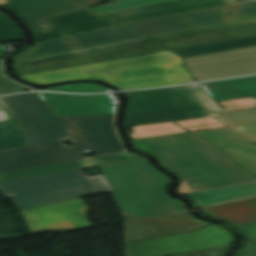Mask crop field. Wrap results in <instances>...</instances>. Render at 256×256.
I'll return each mask as SVG.
<instances>
[{"mask_svg":"<svg viewBox=\"0 0 256 256\" xmlns=\"http://www.w3.org/2000/svg\"><path fill=\"white\" fill-rule=\"evenodd\" d=\"M168 1H173V0H125V1L117 2L116 5H103V6L91 8L88 10L97 15H101V14L122 11V10H127V9H132V8L157 4V3L168 2Z\"/></svg>","mask_w":256,"mask_h":256,"instance_id":"30","label":"crop field"},{"mask_svg":"<svg viewBox=\"0 0 256 256\" xmlns=\"http://www.w3.org/2000/svg\"><path fill=\"white\" fill-rule=\"evenodd\" d=\"M0 72H3V71H2V68H1V61H0Z\"/></svg>","mask_w":256,"mask_h":256,"instance_id":"41","label":"crop field"},{"mask_svg":"<svg viewBox=\"0 0 256 256\" xmlns=\"http://www.w3.org/2000/svg\"><path fill=\"white\" fill-rule=\"evenodd\" d=\"M4 116L0 113V120H4Z\"/></svg>","mask_w":256,"mask_h":256,"instance_id":"40","label":"crop field"},{"mask_svg":"<svg viewBox=\"0 0 256 256\" xmlns=\"http://www.w3.org/2000/svg\"><path fill=\"white\" fill-rule=\"evenodd\" d=\"M239 230L245 235L246 238L256 237V223L237 226Z\"/></svg>","mask_w":256,"mask_h":256,"instance_id":"36","label":"crop field"},{"mask_svg":"<svg viewBox=\"0 0 256 256\" xmlns=\"http://www.w3.org/2000/svg\"><path fill=\"white\" fill-rule=\"evenodd\" d=\"M224 112H225L224 109H219V110L183 113V114H175V115L130 119V120H126V125L139 124V123H150V122L164 121V120L177 121V120L201 118V117H208V116L225 115Z\"/></svg>","mask_w":256,"mask_h":256,"instance_id":"27","label":"crop field"},{"mask_svg":"<svg viewBox=\"0 0 256 256\" xmlns=\"http://www.w3.org/2000/svg\"><path fill=\"white\" fill-rule=\"evenodd\" d=\"M216 101L256 96V76L200 84Z\"/></svg>","mask_w":256,"mask_h":256,"instance_id":"18","label":"crop field"},{"mask_svg":"<svg viewBox=\"0 0 256 256\" xmlns=\"http://www.w3.org/2000/svg\"><path fill=\"white\" fill-rule=\"evenodd\" d=\"M181 178L179 194L256 181V177L220 149L158 157Z\"/></svg>","mask_w":256,"mask_h":256,"instance_id":"6","label":"crop field"},{"mask_svg":"<svg viewBox=\"0 0 256 256\" xmlns=\"http://www.w3.org/2000/svg\"><path fill=\"white\" fill-rule=\"evenodd\" d=\"M231 11L232 14L222 15ZM256 17V0L123 26L145 38Z\"/></svg>","mask_w":256,"mask_h":256,"instance_id":"7","label":"crop field"},{"mask_svg":"<svg viewBox=\"0 0 256 256\" xmlns=\"http://www.w3.org/2000/svg\"><path fill=\"white\" fill-rule=\"evenodd\" d=\"M108 0H20L1 6L15 11L24 22L87 9ZM113 2L121 0H111Z\"/></svg>","mask_w":256,"mask_h":256,"instance_id":"15","label":"crop field"},{"mask_svg":"<svg viewBox=\"0 0 256 256\" xmlns=\"http://www.w3.org/2000/svg\"><path fill=\"white\" fill-rule=\"evenodd\" d=\"M227 116L215 119L249 139L256 142V108L227 112Z\"/></svg>","mask_w":256,"mask_h":256,"instance_id":"22","label":"crop field"},{"mask_svg":"<svg viewBox=\"0 0 256 256\" xmlns=\"http://www.w3.org/2000/svg\"><path fill=\"white\" fill-rule=\"evenodd\" d=\"M76 226L73 224L72 221L57 223L53 225L46 226L45 230H68V229H75Z\"/></svg>","mask_w":256,"mask_h":256,"instance_id":"37","label":"crop field"},{"mask_svg":"<svg viewBox=\"0 0 256 256\" xmlns=\"http://www.w3.org/2000/svg\"><path fill=\"white\" fill-rule=\"evenodd\" d=\"M230 246L231 244L206 250L177 254L176 256H225Z\"/></svg>","mask_w":256,"mask_h":256,"instance_id":"33","label":"crop field"},{"mask_svg":"<svg viewBox=\"0 0 256 256\" xmlns=\"http://www.w3.org/2000/svg\"><path fill=\"white\" fill-rule=\"evenodd\" d=\"M143 37L125 30L123 27L103 29L66 38L39 42L40 46L31 47L28 51L13 58V63L68 52L108 46Z\"/></svg>","mask_w":256,"mask_h":256,"instance_id":"9","label":"crop field"},{"mask_svg":"<svg viewBox=\"0 0 256 256\" xmlns=\"http://www.w3.org/2000/svg\"><path fill=\"white\" fill-rule=\"evenodd\" d=\"M253 22H256V18L232 22V23H226V24H221V25H216V26H210V27H205V28H200V29H195V30H190V31L150 38V39H143V40H138V41H133V42H128V43L108 46V47H102V48H97V49H91V50L57 55V56H52V57H47V58H41V59H36V60H31V61H26V62H20V63H15L13 65H14V67H16V66L34 64V63L52 61V60H57V59H62V58H68V57H73V56H78V55H83V54H88V53H94V52H99V51H104V50H109V49H114V48H120V47L140 44V43L163 40V39L179 37V36H184V35H189V34H195V33H200V32H205V31H211V30H216V29H221V28H227V27H232V26H237V25H243V24H248V23H253Z\"/></svg>","mask_w":256,"mask_h":256,"instance_id":"21","label":"crop field"},{"mask_svg":"<svg viewBox=\"0 0 256 256\" xmlns=\"http://www.w3.org/2000/svg\"><path fill=\"white\" fill-rule=\"evenodd\" d=\"M196 81L256 73V59L190 67Z\"/></svg>","mask_w":256,"mask_h":256,"instance_id":"19","label":"crop field"},{"mask_svg":"<svg viewBox=\"0 0 256 256\" xmlns=\"http://www.w3.org/2000/svg\"><path fill=\"white\" fill-rule=\"evenodd\" d=\"M221 108L216 103L127 113L126 119Z\"/></svg>","mask_w":256,"mask_h":256,"instance_id":"28","label":"crop field"},{"mask_svg":"<svg viewBox=\"0 0 256 256\" xmlns=\"http://www.w3.org/2000/svg\"><path fill=\"white\" fill-rule=\"evenodd\" d=\"M209 223L193 218L189 213L126 222L125 242L157 238L201 228Z\"/></svg>","mask_w":256,"mask_h":256,"instance_id":"11","label":"crop field"},{"mask_svg":"<svg viewBox=\"0 0 256 256\" xmlns=\"http://www.w3.org/2000/svg\"><path fill=\"white\" fill-rule=\"evenodd\" d=\"M4 3H7V1H5V0H0V5H1V4H4Z\"/></svg>","mask_w":256,"mask_h":256,"instance_id":"39","label":"crop field"},{"mask_svg":"<svg viewBox=\"0 0 256 256\" xmlns=\"http://www.w3.org/2000/svg\"><path fill=\"white\" fill-rule=\"evenodd\" d=\"M6 52H8V51H6V50H4V49H2V48L0 47V59H1V55L4 54V53H6Z\"/></svg>","mask_w":256,"mask_h":256,"instance_id":"38","label":"crop field"},{"mask_svg":"<svg viewBox=\"0 0 256 256\" xmlns=\"http://www.w3.org/2000/svg\"><path fill=\"white\" fill-rule=\"evenodd\" d=\"M233 243L231 233L215 224L195 232L128 244L125 256H168Z\"/></svg>","mask_w":256,"mask_h":256,"instance_id":"8","label":"crop field"},{"mask_svg":"<svg viewBox=\"0 0 256 256\" xmlns=\"http://www.w3.org/2000/svg\"><path fill=\"white\" fill-rule=\"evenodd\" d=\"M29 89L30 88L28 87H24L10 81L3 73H0V95Z\"/></svg>","mask_w":256,"mask_h":256,"instance_id":"34","label":"crop field"},{"mask_svg":"<svg viewBox=\"0 0 256 256\" xmlns=\"http://www.w3.org/2000/svg\"><path fill=\"white\" fill-rule=\"evenodd\" d=\"M30 231L44 230L45 225L73 220L79 227L91 226L85 218L86 205L79 199L20 210Z\"/></svg>","mask_w":256,"mask_h":256,"instance_id":"12","label":"crop field"},{"mask_svg":"<svg viewBox=\"0 0 256 256\" xmlns=\"http://www.w3.org/2000/svg\"><path fill=\"white\" fill-rule=\"evenodd\" d=\"M37 83L66 79L97 78L122 89H137L194 81L181 58L170 51L153 53L79 67L21 76Z\"/></svg>","mask_w":256,"mask_h":256,"instance_id":"1","label":"crop field"},{"mask_svg":"<svg viewBox=\"0 0 256 256\" xmlns=\"http://www.w3.org/2000/svg\"><path fill=\"white\" fill-rule=\"evenodd\" d=\"M194 133L210 140L211 142L217 144L219 147L238 146L251 143L229 128H219L213 130L198 131Z\"/></svg>","mask_w":256,"mask_h":256,"instance_id":"26","label":"crop field"},{"mask_svg":"<svg viewBox=\"0 0 256 256\" xmlns=\"http://www.w3.org/2000/svg\"><path fill=\"white\" fill-rule=\"evenodd\" d=\"M111 191L107 181L87 185L56 189L13 198L18 209L56 203L82 196ZM12 200V201H13Z\"/></svg>","mask_w":256,"mask_h":256,"instance_id":"16","label":"crop field"},{"mask_svg":"<svg viewBox=\"0 0 256 256\" xmlns=\"http://www.w3.org/2000/svg\"><path fill=\"white\" fill-rule=\"evenodd\" d=\"M39 96L59 117H66L71 139L75 146L62 148L67 161L82 159L84 150L92 149L93 155L123 151V147L113 128V113L116 104L109 94L68 95L41 93ZM64 140V141H68Z\"/></svg>","mask_w":256,"mask_h":256,"instance_id":"2","label":"crop field"},{"mask_svg":"<svg viewBox=\"0 0 256 256\" xmlns=\"http://www.w3.org/2000/svg\"><path fill=\"white\" fill-rule=\"evenodd\" d=\"M0 101L22 124L27 143V147L0 152V172L65 161L57 141L67 137L63 118H56L35 93Z\"/></svg>","mask_w":256,"mask_h":256,"instance_id":"3","label":"crop field"},{"mask_svg":"<svg viewBox=\"0 0 256 256\" xmlns=\"http://www.w3.org/2000/svg\"><path fill=\"white\" fill-rule=\"evenodd\" d=\"M44 90H52V91H60V92H75V93H95V92L112 91L102 85L89 84V83L70 84L66 86L48 88Z\"/></svg>","mask_w":256,"mask_h":256,"instance_id":"32","label":"crop field"},{"mask_svg":"<svg viewBox=\"0 0 256 256\" xmlns=\"http://www.w3.org/2000/svg\"><path fill=\"white\" fill-rule=\"evenodd\" d=\"M0 112L6 118L0 121V151L26 146L20 123L1 102Z\"/></svg>","mask_w":256,"mask_h":256,"instance_id":"23","label":"crop field"},{"mask_svg":"<svg viewBox=\"0 0 256 256\" xmlns=\"http://www.w3.org/2000/svg\"><path fill=\"white\" fill-rule=\"evenodd\" d=\"M100 168L128 219L184 211L182 202L166 195L167 177L144 158Z\"/></svg>","mask_w":256,"mask_h":256,"instance_id":"4","label":"crop field"},{"mask_svg":"<svg viewBox=\"0 0 256 256\" xmlns=\"http://www.w3.org/2000/svg\"><path fill=\"white\" fill-rule=\"evenodd\" d=\"M231 3L230 0H178L101 16L121 25ZM27 25L32 30L36 42L118 26L86 10Z\"/></svg>","mask_w":256,"mask_h":256,"instance_id":"5","label":"crop field"},{"mask_svg":"<svg viewBox=\"0 0 256 256\" xmlns=\"http://www.w3.org/2000/svg\"><path fill=\"white\" fill-rule=\"evenodd\" d=\"M23 40L19 28L4 14H0V43Z\"/></svg>","mask_w":256,"mask_h":256,"instance_id":"31","label":"crop field"},{"mask_svg":"<svg viewBox=\"0 0 256 256\" xmlns=\"http://www.w3.org/2000/svg\"><path fill=\"white\" fill-rule=\"evenodd\" d=\"M210 216L234 226L256 222V198L205 209Z\"/></svg>","mask_w":256,"mask_h":256,"instance_id":"20","label":"crop field"},{"mask_svg":"<svg viewBox=\"0 0 256 256\" xmlns=\"http://www.w3.org/2000/svg\"><path fill=\"white\" fill-rule=\"evenodd\" d=\"M256 58V47L184 59L185 67Z\"/></svg>","mask_w":256,"mask_h":256,"instance_id":"25","label":"crop field"},{"mask_svg":"<svg viewBox=\"0 0 256 256\" xmlns=\"http://www.w3.org/2000/svg\"><path fill=\"white\" fill-rule=\"evenodd\" d=\"M256 46V36L173 50L183 58Z\"/></svg>","mask_w":256,"mask_h":256,"instance_id":"24","label":"crop field"},{"mask_svg":"<svg viewBox=\"0 0 256 256\" xmlns=\"http://www.w3.org/2000/svg\"><path fill=\"white\" fill-rule=\"evenodd\" d=\"M133 142L135 148L155 157L218 148L190 132L138 138Z\"/></svg>","mask_w":256,"mask_h":256,"instance_id":"14","label":"crop field"},{"mask_svg":"<svg viewBox=\"0 0 256 256\" xmlns=\"http://www.w3.org/2000/svg\"><path fill=\"white\" fill-rule=\"evenodd\" d=\"M93 178H86L79 169L37 175L0 182V188L7 197L21 196L50 189L92 183Z\"/></svg>","mask_w":256,"mask_h":256,"instance_id":"13","label":"crop field"},{"mask_svg":"<svg viewBox=\"0 0 256 256\" xmlns=\"http://www.w3.org/2000/svg\"><path fill=\"white\" fill-rule=\"evenodd\" d=\"M222 150L256 175V147L245 145Z\"/></svg>","mask_w":256,"mask_h":256,"instance_id":"29","label":"crop field"},{"mask_svg":"<svg viewBox=\"0 0 256 256\" xmlns=\"http://www.w3.org/2000/svg\"><path fill=\"white\" fill-rule=\"evenodd\" d=\"M138 157H141V156H137V155L125 152V153H118V154L94 157L89 159H83L78 161L63 162V163L54 164V165L0 173V181L12 179V178L24 177V176L76 169L84 166H91V165L102 164V163H110V162L134 159Z\"/></svg>","mask_w":256,"mask_h":256,"instance_id":"17","label":"crop field"},{"mask_svg":"<svg viewBox=\"0 0 256 256\" xmlns=\"http://www.w3.org/2000/svg\"><path fill=\"white\" fill-rule=\"evenodd\" d=\"M126 93L130 99L127 112L214 102L198 84Z\"/></svg>","mask_w":256,"mask_h":256,"instance_id":"10","label":"crop field"},{"mask_svg":"<svg viewBox=\"0 0 256 256\" xmlns=\"http://www.w3.org/2000/svg\"><path fill=\"white\" fill-rule=\"evenodd\" d=\"M237 256H256V241L246 243Z\"/></svg>","mask_w":256,"mask_h":256,"instance_id":"35","label":"crop field"}]
</instances>
